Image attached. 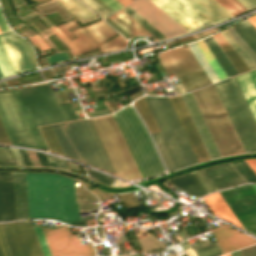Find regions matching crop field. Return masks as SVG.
<instances>
[{"mask_svg": "<svg viewBox=\"0 0 256 256\" xmlns=\"http://www.w3.org/2000/svg\"><path fill=\"white\" fill-rule=\"evenodd\" d=\"M195 253L197 254V256H216V255L222 254V251L218 246V244L216 243V244L195 250Z\"/></svg>", "mask_w": 256, "mask_h": 256, "instance_id": "crop-field-44", "label": "crop field"}, {"mask_svg": "<svg viewBox=\"0 0 256 256\" xmlns=\"http://www.w3.org/2000/svg\"><path fill=\"white\" fill-rule=\"evenodd\" d=\"M65 43H67L72 52L75 54V55H79L80 52L78 51V49L76 48V46H74L71 41L57 28V27H54V28H51Z\"/></svg>", "mask_w": 256, "mask_h": 256, "instance_id": "crop-field-49", "label": "crop field"}, {"mask_svg": "<svg viewBox=\"0 0 256 256\" xmlns=\"http://www.w3.org/2000/svg\"><path fill=\"white\" fill-rule=\"evenodd\" d=\"M167 72H175L186 91L211 84L187 46L156 55Z\"/></svg>", "mask_w": 256, "mask_h": 256, "instance_id": "crop-field-10", "label": "crop field"}, {"mask_svg": "<svg viewBox=\"0 0 256 256\" xmlns=\"http://www.w3.org/2000/svg\"><path fill=\"white\" fill-rule=\"evenodd\" d=\"M0 40L16 73L36 67L35 55L23 38L8 32L0 34Z\"/></svg>", "mask_w": 256, "mask_h": 256, "instance_id": "crop-field-16", "label": "crop field"}, {"mask_svg": "<svg viewBox=\"0 0 256 256\" xmlns=\"http://www.w3.org/2000/svg\"><path fill=\"white\" fill-rule=\"evenodd\" d=\"M0 256H10L5 240L0 230Z\"/></svg>", "mask_w": 256, "mask_h": 256, "instance_id": "crop-field-53", "label": "crop field"}, {"mask_svg": "<svg viewBox=\"0 0 256 256\" xmlns=\"http://www.w3.org/2000/svg\"><path fill=\"white\" fill-rule=\"evenodd\" d=\"M35 230H36V234L39 240V244H40L43 256H50V253L48 251L41 229L39 227H35Z\"/></svg>", "mask_w": 256, "mask_h": 256, "instance_id": "crop-field-47", "label": "crop field"}, {"mask_svg": "<svg viewBox=\"0 0 256 256\" xmlns=\"http://www.w3.org/2000/svg\"><path fill=\"white\" fill-rule=\"evenodd\" d=\"M68 13L82 24L97 19V16L77 0H56Z\"/></svg>", "mask_w": 256, "mask_h": 256, "instance_id": "crop-field-28", "label": "crop field"}, {"mask_svg": "<svg viewBox=\"0 0 256 256\" xmlns=\"http://www.w3.org/2000/svg\"><path fill=\"white\" fill-rule=\"evenodd\" d=\"M187 255H188V256H196V254L194 253V251L187 252Z\"/></svg>", "mask_w": 256, "mask_h": 256, "instance_id": "crop-field-69", "label": "crop field"}, {"mask_svg": "<svg viewBox=\"0 0 256 256\" xmlns=\"http://www.w3.org/2000/svg\"><path fill=\"white\" fill-rule=\"evenodd\" d=\"M248 182H256V174L244 160L232 162Z\"/></svg>", "mask_w": 256, "mask_h": 256, "instance_id": "crop-field-40", "label": "crop field"}, {"mask_svg": "<svg viewBox=\"0 0 256 256\" xmlns=\"http://www.w3.org/2000/svg\"><path fill=\"white\" fill-rule=\"evenodd\" d=\"M20 90L38 126L78 119L71 103L58 105L48 84Z\"/></svg>", "mask_w": 256, "mask_h": 256, "instance_id": "crop-field-9", "label": "crop field"}, {"mask_svg": "<svg viewBox=\"0 0 256 256\" xmlns=\"http://www.w3.org/2000/svg\"><path fill=\"white\" fill-rule=\"evenodd\" d=\"M82 220H83V221L76 222V223H72V224H69V225H74V226H87L84 217H82Z\"/></svg>", "mask_w": 256, "mask_h": 256, "instance_id": "crop-field-65", "label": "crop field"}, {"mask_svg": "<svg viewBox=\"0 0 256 256\" xmlns=\"http://www.w3.org/2000/svg\"><path fill=\"white\" fill-rule=\"evenodd\" d=\"M220 33L233 47V49L238 53V55L243 59V61L248 65L250 69L256 68L254 62L245 54V52L237 45V43L228 35V33L225 30Z\"/></svg>", "mask_w": 256, "mask_h": 256, "instance_id": "crop-field-38", "label": "crop field"}, {"mask_svg": "<svg viewBox=\"0 0 256 256\" xmlns=\"http://www.w3.org/2000/svg\"><path fill=\"white\" fill-rule=\"evenodd\" d=\"M0 227L11 256H42L33 226L12 222Z\"/></svg>", "mask_w": 256, "mask_h": 256, "instance_id": "crop-field-13", "label": "crop field"}, {"mask_svg": "<svg viewBox=\"0 0 256 256\" xmlns=\"http://www.w3.org/2000/svg\"><path fill=\"white\" fill-rule=\"evenodd\" d=\"M109 18L113 20L118 26H120L130 36L134 34H147L151 36L148 32H146L140 25H138L133 19H131L122 10Z\"/></svg>", "mask_w": 256, "mask_h": 256, "instance_id": "crop-field-29", "label": "crop field"}, {"mask_svg": "<svg viewBox=\"0 0 256 256\" xmlns=\"http://www.w3.org/2000/svg\"><path fill=\"white\" fill-rule=\"evenodd\" d=\"M246 231L256 235V192L251 184L219 191Z\"/></svg>", "mask_w": 256, "mask_h": 256, "instance_id": "crop-field-12", "label": "crop field"}, {"mask_svg": "<svg viewBox=\"0 0 256 256\" xmlns=\"http://www.w3.org/2000/svg\"><path fill=\"white\" fill-rule=\"evenodd\" d=\"M29 39L33 46L38 45L41 51L50 49L48 44L38 34Z\"/></svg>", "mask_w": 256, "mask_h": 256, "instance_id": "crop-field-50", "label": "crop field"}, {"mask_svg": "<svg viewBox=\"0 0 256 256\" xmlns=\"http://www.w3.org/2000/svg\"><path fill=\"white\" fill-rule=\"evenodd\" d=\"M194 173H195V174L198 176V178L207 186V188H208L211 192L215 191V189L210 185V183L202 176V174H201L199 171H195Z\"/></svg>", "mask_w": 256, "mask_h": 256, "instance_id": "crop-field-57", "label": "crop field"}, {"mask_svg": "<svg viewBox=\"0 0 256 256\" xmlns=\"http://www.w3.org/2000/svg\"><path fill=\"white\" fill-rule=\"evenodd\" d=\"M42 17H43V16H42ZM40 18H41V17H40ZM43 18L47 21V19H46L45 17H43ZM41 19H42V18H41ZM42 20H43V19H42ZM43 21H44V20H43ZM46 23L49 24V22H46ZM48 24H47V25H48ZM50 24H51V23H50ZM51 25L54 26L53 24H51ZM51 25H50V26H51ZM48 26H49V25H48ZM50 26H49V27H50ZM52 26H51V27H52Z\"/></svg>", "mask_w": 256, "mask_h": 256, "instance_id": "crop-field-71", "label": "crop field"}, {"mask_svg": "<svg viewBox=\"0 0 256 256\" xmlns=\"http://www.w3.org/2000/svg\"><path fill=\"white\" fill-rule=\"evenodd\" d=\"M0 70L4 77L15 73L3 49L1 42H0Z\"/></svg>", "mask_w": 256, "mask_h": 256, "instance_id": "crop-field-41", "label": "crop field"}, {"mask_svg": "<svg viewBox=\"0 0 256 256\" xmlns=\"http://www.w3.org/2000/svg\"><path fill=\"white\" fill-rule=\"evenodd\" d=\"M107 5H109L112 9H114L115 11L124 7L123 5H121L118 1L116 0H103Z\"/></svg>", "mask_w": 256, "mask_h": 256, "instance_id": "crop-field-56", "label": "crop field"}, {"mask_svg": "<svg viewBox=\"0 0 256 256\" xmlns=\"http://www.w3.org/2000/svg\"><path fill=\"white\" fill-rule=\"evenodd\" d=\"M200 172L216 190L247 183L232 163L213 166Z\"/></svg>", "mask_w": 256, "mask_h": 256, "instance_id": "crop-field-19", "label": "crop field"}, {"mask_svg": "<svg viewBox=\"0 0 256 256\" xmlns=\"http://www.w3.org/2000/svg\"><path fill=\"white\" fill-rule=\"evenodd\" d=\"M102 18L115 12L101 0H81Z\"/></svg>", "mask_w": 256, "mask_h": 256, "instance_id": "crop-field-36", "label": "crop field"}, {"mask_svg": "<svg viewBox=\"0 0 256 256\" xmlns=\"http://www.w3.org/2000/svg\"><path fill=\"white\" fill-rule=\"evenodd\" d=\"M18 150H19V152H20V154H21L25 164L26 165H32L30 160H29V158H28V155H27L26 151L25 150H21V149H18Z\"/></svg>", "mask_w": 256, "mask_h": 256, "instance_id": "crop-field-61", "label": "crop field"}, {"mask_svg": "<svg viewBox=\"0 0 256 256\" xmlns=\"http://www.w3.org/2000/svg\"><path fill=\"white\" fill-rule=\"evenodd\" d=\"M226 31L256 64V54L247 46V44L236 34V32L231 27L226 29Z\"/></svg>", "mask_w": 256, "mask_h": 256, "instance_id": "crop-field-42", "label": "crop field"}, {"mask_svg": "<svg viewBox=\"0 0 256 256\" xmlns=\"http://www.w3.org/2000/svg\"><path fill=\"white\" fill-rule=\"evenodd\" d=\"M85 114L88 117H92V116L105 115V114H108V112H107V110H102V111L88 112V113H85Z\"/></svg>", "mask_w": 256, "mask_h": 256, "instance_id": "crop-field-60", "label": "crop field"}, {"mask_svg": "<svg viewBox=\"0 0 256 256\" xmlns=\"http://www.w3.org/2000/svg\"><path fill=\"white\" fill-rule=\"evenodd\" d=\"M222 156L245 152L214 85L191 92Z\"/></svg>", "mask_w": 256, "mask_h": 256, "instance_id": "crop-field-4", "label": "crop field"}, {"mask_svg": "<svg viewBox=\"0 0 256 256\" xmlns=\"http://www.w3.org/2000/svg\"><path fill=\"white\" fill-rule=\"evenodd\" d=\"M228 256H229V254H228Z\"/></svg>", "mask_w": 256, "mask_h": 256, "instance_id": "crop-field-74", "label": "crop field"}, {"mask_svg": "<svg viewBox=\"0 0 256 256\" xmlns=\"http://www.w3.org/2000/svg\"><path fill=\"white\" fill-rule=\"evenodd\" d=\"M2 221L16 220L11 173L0 172Z\"/></svg>", "mask_w": 256, "mask_h": 256, "instance_id": "crop-field-22", "label": "crop field"}, {"mask_svg": "<svg viewBox=\"0 0 256 256\" xmlns=\"http://www.w3.org/2000/svg\"><path fill=\"white\" fill-rule=\"evenodd\" d=\"M203 199L214 215L243 228L218 193L211 194Z\"/></svg>", "mask_w": 256, "mask_h": 256, "instance_id": "crop-field-27", "label": "crop field"}, {"mask_svg": "<svg viewBox=\"0 0 256 256\" xmlns=\"http://www.w3.org/2000/svg\"><path fill=\"white\" fill-rule=\"evenodd\" d=\"M150 110H151V113L158 125V128L164 138V141L171 153V156L177 166V168H181V167H184L186 165H190V164H193V163H197V159L190 147V144L182 130V127L175 115V112L168 100L167 97H156L166 118H167V121L178 141V144L188 162H186L178 144H177V141L166 121V118L156 100L155 97H144Z\"/></svg>", "mask_w": 256, "mask_h": 256, "instance_id": "crop-field-6", "label": "crop field"}, {"mask_svg": "<svg viewBox=\"0 0 256 256\" xmlns=\"http://www.w3.org/2000/svg\"><path fill=\"white\" fill-rule=\"evenodd\" d=\"M0 29H1L2 32L10 30L8 28L6 22L4 21L2 15H1V12H0Z\"/></svg>", "mask_w": 256, "mask_h": 256, "instance_id": "crop-field-62", "label": "crop field"}, {"mask_svg": "<svg viewBox=\"0 0 256 256\" xmlns=\"http://www.w3.org/2000/svg\"><path fill=\"white\" fill-rule=\"evenodd\" d=\"M32 12H34V11H33L32 9H30V10H28V11L22 13V14H19L18 16H19L20 18H22V17H24V16H26V15L32 13Z\"/></svg>", "mask_w": 256, "mask_h": 256, "instance_id": "crop-field-66", "label": "crop field"}, {"mask_svg": "<svg viewBox=\"0 0 256 256\" xmlns=\"http://www.w3.org/2000/svg\"><path fill=\"white\" fill-rule=\"evenodd\" d=\"M49 149L55 153L63 154V151L57 141V138L50 125L39 127Z\"/></svg>", "mask_w": 256, "mask_h": 256, "instance_id": "crop-field-33", "label": "crop field"}, {"mask_svg": "<svg viewBox=\"0 0 256 256\" xmlns=\"http://www.w3.org/2000/svg\"><path fill=\"white\" fill-rule=\"evenodd\" d=\"M235 78L256 120V70Z\"/></svg>", "mask_w": 256, "mask_h": 256, "instance_id": "crop-field-25", "label": "crop field"}, {"mask_svg": "<svg viewBox=\"0 0 256 256\" xmlns=\"http://www.w3.org/2000/svg\"><path fill=\"white\" fill-rule=\"evenodd\" d=\"M52 256H95L92 245H82L67 226L54 230L43 229Z\"/></svg>", "mask_w": 256, "mask_h": 256, "instance_id": "crop-field-14", "label": "crop field"}, {"mask_svg": "<svg viewBox=\"0 0 256 256\" xmlns=\"http://www.w3.org/2000/svg\"><path fill=\"white\" fill-rule=\"evenodd\" d=\"M182 176L192 186V188L198 193L200 197L210 193L206 186L197 178V176L193 172ZM182 176L175 177L167 181L190 193L191 195L199 198L197 193L190 187V185L184 180Z\"/></svg>", "mask_w": 256, "mask_h": 256, "instance_id": "crop-field-26", "label": "crop field"}, {"mask_svg": "<svg viewBox=\"0 0 256 256\" xmlns=\"http://www.w3.org/2000/svg\"><path fill=\"white\" fill-rule=\"evenodd\" d=\"M134 106L146 123L150 133L159 131L144 98L142 97L139 100L135 101Z\"/></svg>", "mask_w": 256, "mask_h": 256, "instance_id": "crop-field-31", "label": "crop field"}, {"mask_svg": "<svg viewBox=\"0 0 256 256\" xmlns=\"http://www.w3.org/2000/svg\"><path fill=\"white\" fill-rule=\"evenodd\" d=\"M51 126L67 157L116 175L89 119Z\"/></svg>", "mask_w": 256, "mask_h": 256, "instance_id": "crop-field-2", "label": "crop field"}, {"mask_svg": "<svg viewBox=\"0 0 256 256\" xmlns=\"http://www.w3.org/2000/svg\"><path fill=\"white\" fill-rule=\"evenodd\" d=\"M121 4H123L124 6L133 2L132 0H118Z\"/></svg>", "mask_w": 256, "mask_h": 256, "instance_id": "crop-field-67", "label": "crop field"}, {"mask_svg": "<svg viewBox=\"0 0 256 256\" xmlns=\"http://www.w3.org/2000/svg\"><path fill=\"white\" fill-rule=\"evenodd\" d=\"M119 197L125 205V207L127 208V210L141 207V205L139 204V202L137 201L132 192L120 194Z\"/></svg>", "mask_w": 256, "mask_h": 256, "instance_id": "crop-field-43", "label": "crop field"}, {"mask_svg": "<svg viewBox=\"0 0 256 256\" xmlns=\"http://www.w3.org/2000/svg\"><path fill=\"white\" fill-rule=\"evenodd\" d=\"M86 171L91 178H93L94 180L101 182L103 184L111 186L113 184V182L115 181V179L108 177L104 174H101V173H98V172H95V171H92L89 169H86Z\"/></svg>", "mask_w": 256, "mask_h": 256, "instance_id": "crop-field-46", "label": "crop field"}, {"mask_svg": "<svg viewBox=\"0 0 256 256\" xmlns=\"http://www.w3.org/2000/svg\"><path fill=\"white\" fill-rule=\"evenodd\" d=\"M77 26L78 24L73 20L65 24L58 25V27L69 38H72L74 36L71 32H69L68 29L74 28ZM72 32L77 36V38L72 39V41L78 47L81 54L91 50H96L98 46L100 47L102 52L126 46V41L120 35L108 40L109 38L113 37L118 33L115 32L113 29H111L102 20L99 22L93 23L89 26L74 29L72 30ZM102 42L104 43L100 44Z\"/></svg>", "mask_w": 256, "mask_h": 256, "instance_id": "crop-field-11", "label": "crop field"}, {"mask_svg": "<svg viewBox=\"0 0 256 256\" xmlns=\"http://www.w3.org/2000/svg\"><path fill=\"white\" fill-rule=\"evenodd\" d=\"M249 20L256 26V16L249 18Z\"/></svg>", "mask_w": 256, "mask_h": 256, "instance_id": "crop-field-68", "label": "crop field"}, {"mask_svg": "<svg viewBox=\"0 0 256 256\" xmlns=\"http://www.w3.org/2000/svg\"><path fill=\"white\" fill-rule=\"evenodd\" d=\"M29 216L64 223L80 220L73 179L66 176L26 173Z\"/></svg>", "mask_w": 256, "mask_h": 256, "instance_id": "crop-field-1", "label": "crop field"}, {"mask_svg": "<svg viewBox=\"0 0 256 256\" xmlns=\"http://www.w3.org/2000/svg\"><path fill=\"white\" fill-rule=\"evenodd\" d=\"M0 119L13 145L48 150L19 89L0 91Z\"/></svg>", "mask_w": 256, "mask_h": 256, "instance_id": "crop-field-3", "label": "crop field"}, {"mask_svg": "<svg viewBox=\"0 0 256 256\" xmlns=\"http://www.w3.org/2000/svg\"><path fill=\"white\" fill-rule=\"evenodd\" d=\"M0 165H17L9 148L0 147Z\"/></svg>", "mask_w": 256, "mask_h": 256, "instance_id": "crop-field-45", "label": "crop field"}, {"mask_svg": "<svg viewBox=\"0 0 256 256\" xmlns=\"http://www.w3.org/2000/svg\"><path fill=\"white\" fill-rule=\"evenodd\" d=\"M214 85L245 151H256V122L235 78Z\"/></svg>", "mask_w": 256, "mask_h": 256, "instance_id": "crop-field-8", "label": "crop field"}, {"mask_svg": "<svg viewBox=\"0 0 256 256\" xmlns=\"http://www.w3.org/2000/svg\"><path fill=\"white\" fill-rule=\"evenodd\" d=\"M187 32L211 24L184 0H152Z\"/></svg>", "mask_w": 256, "mask_h": 256, "instance_id": "crop-field-15", "label": "crop field"}, {"mask_svg": "<svg viewBox=\"0 0 256 256\" xmlns=\"http://www.w3.org/2000/svg\"><path fill=\"white\" fill-rule=\"evenodd\" d=\"M198 159H210L180 95L168 97Z\"/></svg>", "mask_w": 256, "mask_h": 256, "instance_id": "crop-field-18", "label": "crop field"}, {"mask_svg": "<svg viewBox=\"0 0 256 256\" xmlns=\"http://www.w3.org/2000/svg\"><path fill=\"white\" fill-rule=\"evenodd\" d=\"M252 186L254 187V189L256 190V184H252ZM256 192V191H255Z\"/></svg>", "mask_w": 256, "mask_h": 256, "instance_id": "crop-field-72", "label": "crop field"}, {"mask_svg": "<svg viewBox=\"0 0 256 256\" xmlns=\"http://www.w3.org/2000/svg\"><path fill=\"white\" fill-rule=\"evenodd\" d=\"M237 1L240 2L248 10L256 7V0H237Z\"/></svg>", "mask_w": 256, "mask_h": 256, "instance_id": "crop-field-55", "label": "crop field"}, {"mask_svg": "<svg viewBox=\"0 0 256 256\" xmlns=\"http://www.w3.org/2000/svg\"><path fill=\"white\" fill-rule=\"evenodd\" d=\"M212 23L232 17L214 0H185Z\"/></svg>", "mask_w": 256, "mask_h": 256, "instance_id": "crop-field-24", "label": "crop field"}, {"mask_svg": "<svg viewBox=\"0 0 256 256\" xmlns=\"http://www.w3.org/2000/svg\"><path fill=\"white\" fill-rule=\"evenodd\" d=\"M12 177L17 220L29 219L25 173H12Z\"/></svg>", "mask_w": 256, "mask_h": 256, "instance_id": "crop-field-23", "label": "crop field"}, {"mask_svg": "<svg viewBox=\"0 0 256 256\" xmlns=\"http://www.w3.org/2000/svg\"><path fill=\"white\" fill-rule=\"evenodd\" d=\"M134 111L129 105L113 115L120 124L145 177L165 173L158 153Z\"/></svg>", "mask_w": 256, "mask_h": 256, "instance_id": "crop-field-5", "label": "crop field"}, {"mask_svg": "<svg viewBox=\"0 0 256 256\" xmlns=\"http://www.w3.org/2000/svg\"><path fill=\"white\" fill-rule=\"evenodd\" d=\"M122 10L126 12L130 17H132L136 22H138L142 27H144L148 32H150L154 37H156L158 40L165 38L164 36H162L163 34L161 35L156 29H154L149 23H147L129 6Z\"/></svg>", "mask_w": 256, "mask_h": 256, "instance_id": "crop-field-35", "label": "crop field"}, {"mask_svg": "<svg viewBox=\"0 0 256 256\" xmlns=\"http://www.w3.org/2000/svg\"><path fill=\"white\" fill-rule=\"evenodd\" d=\"M0 143L12 145L5 130H4V127L1 123V121H0Z\"/></svg>", "mask_w": 256, "mask_h": 256, "instance_id": "crop-field-54", "label": "crop field"}, {"mask_svg": "<svg viewBox=\"0 0 256 256\" xmlns=\"http://www.w3.org/2000/svg\"><path fill=\"white\" fill-rule=\"evenodd\" d=\"M243 23L256 35V27L248 19Z\"/></svg>", "mask_w": 256, "mask_h": 256, "instance_id": "crop-field-63", "label": "crop field"}, {"mask_svg": "<svg viewBox=\"0 0 256 256\" xmlns=\"http://www.w3.org/2000/svg\"><path fill=\"white\" fill-rule=\"evenodd\" d=\"M36 9L44 15L59 12L65 21L71 19L69 15L61 7H59L54 1L46 3L41 6H37Z\"/></svg>", "mask_w": 256, "mask_h": 256, "instance_id": "crop-field-37", "label": "crop field"}, {"mask_svg": "<svg viewBox=\"0 0 256 256\" xmlns=\"http://www.w3.org/2000/svg\"><path fill=\"white\" fill-rule=\"evenodd\" d=\"M10 149H11V151H12V153H13V155H14L17 163H18V165H25L23 160H22V158H21V156H20V154H19V152H18V150L17 149H13V148H10Z\"/></svg>", "mask_w": 256, "mask_h": 256, "instance_id": "crop-field-58", "label": "crop field"}, {"mask_svg": "<svg viewBox=\"0 0 256 256\" xmlns=\"http://www.w3.org/2000/svg\"><path fill=\"white\" fill-rule=\"evenodd\" d=\"M153 137V140L162 156V159L164 161V164L168 171L176 170V166L168 152V149L160 135L159 132L151 134Z\"/></svg>", "mask_w": 256, "mask_h": 256, "instance_id": "crop-field-32", "label": "crop field"}, {"mask_svg": "<svg viewBox=\"0 0 256 256\" xmlns=\"http://www.w3.org/2000/svg\"><path fill=\"white\" fill-rule=\"evenodd\" d=\"M46 155V154H45ZM48 162L50 164L51 167H55V168H64V169H68V166L65 162V160L59 159V158H55L49 155H46Z\"/></svg>", "mask_w": 256, "mask_h": 256, "instance_id": "crop-field-48", "label": "crop field"}, {"mask_svg": "<svg viewBox=\"0 0 256 256\" xmlns=\"http://www.w3.org/2000/svg\"><path fill=\"white\" fill-rule=\"evenodd\" d=\"M223 253L256 243L255 240L224 225L211 230Z\"/></svg>", "mask_w": 256, "mask_h": 256, "instance_id": "crop-field-21", "label": "crop field"}, {"mask_svg": "<svg viewBox=\"0 0 256 256\" xmlns=\"http://www.w3.org/2000/svg\"><path fill=\"white\" fill-rule=\"evenodd\" d=\"M247 162V164L254 170V172L256 173V158L254 159H247L245 160Z\"/></svg>", "mask_w": 256, "mask_h": 256, "instance_id": "crop-field-64", "label": "crop field"}, {"mask_svg": "<svg viewBox=\"0 0 256 256\" xmlns=\"http://www.w3.org/2000/svg\"><path fill=\"white\" fill-rule=\"evenodd\" d=\"M241 253L242 256H256V245L242 249ZM241 253L239 251L234 254H231L230 256H241Z\"/></svg>", "mask_w": 256, "mask_h": 256, "instance_id": "crop-field-51", "label": "crop field"}, {"mask_svg": "<svg viewBox=\"0 0 256 256\" xmlns=\"http://www.w3.org/2000/svg\"><path fill=\"white\" fill-rule=\"evenodd\" d=\"M1 33V32H0Z\"/></svg>", "mask_w": 256, "mask_h": 256, "instance_id": "crop-field-75", "label": "crop field"}, {"mask_svg": "<svg viewBox=\"0 0 256 256\" xmlns=\"http://www.w3.org/2000/svg\"><path fill=\"white\" fill-rule=\"evenodd\" d=\"M232 28L256 53V36L242 22L232 26Z\"/></svg>", "mask_w": 256, "mask_h": 256, "instance_id": "crop-field-34", "label": "crop field"}, {"mask_svg": "<svg viewBox=\"0 0 256 256\" xmlns=\"http://www.w3.org/2000/svg\"><path fill=\"white\" fill-rule=\"evenodd\" d=\"M2 86H6V83H5V81H3V82H0V87H2Z\"/></svg>", "mask_w": 256, "mask_h": 256, "instance_id": "crop-field-70", "label": "crop field"}, {"mask_svg": "<svg viewBox=\"0 0 256 256\" xmlns=\"http://www.w3.org/2000/svg\"><path fill=\"white\" fill-rule=\"evenodd\" d=\"M90 120L117 175L126 180L143 178L125 138L114 119L111 116H107Z\"/></svg>", "mask_w": 256, "mask_h": 256, "instance_id": "crop-field-7", "label": "crop field"}, {"mask_svg": "<svg viewBox=\"0 0 256 256\" xmlns=\"http://www.w3.org/2000/svg\"><path fill=\"white\" fill-rule=\"evenodd\" d=\"M196 45L198 46V48L200 49V51L202 52V54L204 55V57L206 58V60L208 61V63L216 73V75L218 76V78L220 80L227 78V75L225 74L223 69L220 67V65L218 64V62L216 61V59L214 58L210 50L207 48L203 40L196 42ZM196 45L195 43H192L187 46L192 52V54L195 56V58L197 59V61L205 71V73L208 75L212 83L219 81V79L217 78V76L215 75V73L213 72V70L211 69V67L209 66V64L207 63V61L205 60V58L203 57V55L201 54V52L199 51Z\"/></svg>", "mask_w": 256, "mask_h": 256, "instance_id": "crop-field-20", "label": "crop field"}, {"mask_svg": "<svg viewBox=\"0 0 256 256\" xmlns=\"http://www.w3.org/2000/svg\"><path fill=\"white\" fill-rule=\"evenodd\" d=\"M215 1H217L222 7H224L233 16L247 11V9H245L236 0H215Z\"/></svg>", "mask_w": 256, "mask_h": 256, "instance_id": "crop-field-39", "label": "crop field"}, {"mask_svg": "<svg viewBox=\"0 0 256 256\" xmlns=\"http://www.w3.org/2000/svg\"><path fill=\"white\" fill-rule=\"evenodd\" d=\"M3 76H2V74H1V72H0V78H2Z\"/></svg>", "mask_w": 256, "mask_h": 256, "instance_id": "crop-field-73", "label": "crop field"}, {"mask_svg": "<svg viewBox=\"0 0 256 256\" xmlns=\"http://www.w3.org/2000/svg\"><path fill=\"white\" fill-rule=\"evenodd\" d=\"M213 38L225 52L239 73L249 70L247 65L242 61V59L237 55V53L232 49V47L227 43L220 33L213 35Z\"/></svg>", "mask_w": 256, "mask_h": 256, "instance_id": "crop-field-30", "label": "crop field"}, {"mask_svg": "<svg viewBox=\"0 0 256 256\" xmlns=\"http://www.w3.org/2000/svg\"><path fill=\"white\" fill-rule=\"evenodd\" d=\"M48 58V62L50 63H54V62H58V61H62V60H68L69 57L66 54V52L63 53H58L52 56L47 57Z\"/></svg>", "mask_w": 256, "mask_h": 256, "instance_id": "crop-field-52", "label": "crop field"}, {"mask_svg": "<svg viewBox=\"0 0 256 256\" xmlns=\"http://www.w3.org/2000/svg\"><path fill=\"white\" fill-rule=\"evenodd\" d=\"M129 6L166 38L186 32L150 0H138Z\"/></svg>", "mask_w": 256, "mask_h": 256, "instance_id": "crop-field-17", "label": "crop field"}, {"mask_svg": "<svg viewBox=\"0 0 256 256\" xmlns=\"http://www.w3.org/2000/svg\"><path fill=\"white\" fill-rule=\"evenodd\" d=\"M26 151H27V150H26ZM27 153H28V155H29V157H30V160H31L32 164H33V165L40 166V164H39V162H38V160H37V158H36L34 152L27 151Z\"/></svg>", "mask_w": 256, "mask_h": 256, "instance_id": "crop-field-59", "label": "crop field"}]
</instances>
